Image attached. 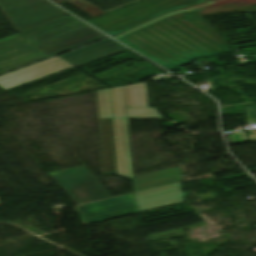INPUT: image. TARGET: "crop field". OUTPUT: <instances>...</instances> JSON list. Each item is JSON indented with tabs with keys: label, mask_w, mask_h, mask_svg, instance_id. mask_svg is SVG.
Wrapping results in <instances>:
<instances>
[{
	"label": "crop field",
	"mask_w": 256,
	"mask_h": 256,
	"mask_svg": "<svg viewBox=\"0 0 256 256\" xmlns=\"http://www.w3.org/2000/svg\"><path fill=\"white\" fill-rule=\"evenodd\" d=\"M145 83L111 89L118 174L131 179L127 107H147Z\"/></svg>",
	"instance_id": "obj_3"
},
{
	"label": "crop field",
	"mask_w": 256,
	"mask_h": 256,
	"mask_svg": "<svg viewBox=\"0 0 256 256\" xmlns=\"http://www.w3.org/2000/svg\"><path fill=\"white\" fill-rule=\"evenodd\" d=\"M241 135H242V140H243V142H247L246 135H245L244 133H241ZM228 138H229V142H230V143H233V142H232L231 135H228Z\"/></svg>",
	"instance_id": "obj_15"
},
{
	"label": "crop field",
	"mask_w": 256,
	"mask_h": 256,
	"mask_svg": "<svg viewBox=\"0 0 256 256\" xmlns=\"http://www.w3.org/2000/svg\"><path fill=\"white\" fill-rule=\"evenodd\" d=\"M229 12H256V4L184 9L162 15L113 38L170 69L193 58L229 52L216 33L199 18Z\"/></svg>",
	"instance_id": "obj_1"
},
{
	"label": "crop field",
	"mask_w": 256,
	"mask_h": 256,
	"mask_svg": "<svg viewBox=\"0 0 256 256\" xmlns=\"http://www.w3.org/2000/svg\"><path fill=\"white\" fill-rule=\"evenodd\" d=\"M182 171V170H181ZM179 167L133 178L134 191L178 182L182 178Z\"/></svg>",
	"instance_id": "obj_12"
},
{
	"label": "crop field",
	"mask_w": 256,
	"mask_h": 256,
	"mask_svg": "<svg viewBox=\"0 0 256 256\" xmlns=\"http://www.w3.org/2000/svg\"><path fill=\"white\" fill-rule=\"evenodd\" d=\"M0 7L17 31L67 14L47 0H0Z\"/></svg>",
	"instance_id": "obj_5"
},
{
	"label": "crop field",
	"mask_w": 256,
	"mask_h": 256,
	"mask_svg": "<svg viewBox=\"0 0 256 256\" xmlns=\"http://www.w3.org/2000/svg\"><path fill=\"white\" fill-rule=\"evenodd\" d=\"M201 2L205 1L145 0L88 22L113 36L161 13Z\"/></svg>",
	"instance_id": "obj_4"
},
{
	"label": "crop field",
	"mask_w": 256,
	"mask_h": 256,
	"mask_svg": "<svg viewBox=\"0 0 256 256\" xmlns=\"http://www.w3.org/2000/svg\"><path fill=\"white\" fill-rule=\"evenodd\" d=\"M85 225L136 213L134 195H126L75 208Z\"/></svg>",
	"instance_id": "obj_7"
},
{
	"label": "crop field",
	"mask_w": 256,
	"mask_h": 256,
	"mask_svg": "<svg viewBox=\"0 0 256 256\" xmlns=\"http://www.w3.org/2000/svg\"><path fill=\"white\" fill-rule=\"evenodd\" d=\"M135 194L140 212L184 202L183 196L185 195L180 190V183L141 191Z\"/></svg>",
	"instance_id": "obj_11"
},
{
	"label": "crop field",
	"mask_w": 256,
	"mask_h": 256,
	"mask_svg": "<svg viewBox=\"0 0 256 256\" xmlns=\"http://www.w3.org/2000/svg\"><path fill=\"white\" fill-rule=\"evenodd\" d=\"M209 2L200 4L194 7H201V6H209V5H219V4H226V3H256V0H208ZM192 8V7H190Z\"/></svg>",
	"instance_id": "obj_13"
},
{
	"label": "crop field",
	"mask_w": 256,
	"mask_h": 256,
	"mask_svg": "<svg viewBox=\"0 0 256 256\" xmlns=\"http://www.w3.org/2000/svg\"><path fill=\"white\" fill-rule=\"evenodd\" d=\"M247 122H256V106H246Z\"/></svg>",
	"instance_id": "obj_14"
},
{
	"label": "crop field",
	"mask_w": 256,
	"mask_h": 256,
	"mask_svg": "<svg viewBox=\"0 0 256 256\" xmlns=\"http://www.w3.org/2000/svg\"><path fill=\"white\" fill-rule=\"evenodd\" d=\"M49 175L77 205L110 197L84 166Z\"/></svg>",
	"instance_id": "obj_6"
},
{
	"label": "crop field",
	"mask_w": 256,
	"mask_h": 256,
	"mask_svg": "<svg viewBox=\"0 0 256 256\" xmlns=\"http://www.w3.org/2000/svg\"><path fill=\"white\" fill-rule=\"evenodd\" d=\"M98 92L103 174H115L110 89Z\"/></svg>",
	"instance_id": "obj_9"
},
{
	"label": "crop field",
	"mask_w": 256,
	"mask_h": 256,
	"mask_svg": "<svg viewBox=\"0 0 256 256\" xmlns=\"http://www.w3.org/2000/svg\"><path fill=\"white\" fill-rule=\"evenodd\" d=\"M105 36L65 17L0 39V74Z\"/></svg>",
	"instance_id": "obj_2"
},
{
	"label": "crop field",
	"mask_w": 256,
	"mask_h": 256,
	"mask_svg": "<svg viewBox=\"0 0 256 256\" xmlns=\"http://www.w3.org/2000/svg\"><path fill=\"white\" fill-rule=\"evenodd\" d=\"M125 50L128 49L108 38L97 44L62 55L61 57L75 64L76 66L81 67Z\"/></svg>",
	"instance_id": "obj_10"
},
{
	"label": "crop field",
	"mask_w": 256,
	"mask_h": 256,
	"mask_svg": "<svg viewBox=\"0 0 256 256\" xmlns=\"http://www.w3.org/2000/svg\"><path fill=\"white\" fill-rule=\"evenodd\" d=\"M73 67L56 57L0 76V86L8 90L33 80Z\"/></svg>",
	"instance_id": "obj_8"
},
{
	"label": "crop field",
	"mask_w": 256,
	"mask_h": 256,
	"mask_svg": "<svg viewBox=\"0 0 256 256\" xmlns=\"http://www.w3.org/2000/svg\"><path fill=\"white\" fill-rule=\"evenodd\" d=\"M249 141H254L256 140V135H248Z\"/></svg>",
	"instance_id": "obj_16"
}]
</instances>
